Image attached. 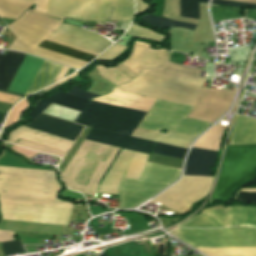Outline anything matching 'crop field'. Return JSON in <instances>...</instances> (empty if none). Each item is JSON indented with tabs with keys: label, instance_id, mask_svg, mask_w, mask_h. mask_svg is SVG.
<instances>
[{
	"label": "crop field",
	"instance_id": "8a807250",
	"mask_svg": "<svg viewBox=\"0 0 256 256\" xmlns=\"http://www.w3.org/2000/svg\"><path fill=\"white\" fill-rule=\"evenodd\" d=\"M162 68L196 77H199L200 71V69L177 65L170 61ZM162 68L143 70L142 73L134 80L127 84L116 87V89L192 106L204 82V79H207V77L200 79L201 77L196 78ZM207 89L208 88L202 86L193 106H195L198 98Z\"/></svg>",
	"mask_w": 256,
	"mask_h": 256
},
{
	"label": "crop field",
	"instance_id": "ac0d7876",
	"mask_svg": "<svg viewBox=\"0 0 256 256\" xmlns=\"http://www.w3.org/2000/svg\"><path fill=\"white\" fill-rule=\"evenodd\" d=\"M193 107L157 100L139 127L160 132L162 128L198 136L212 123L186 118ZM137 128L132 136L189 148L195 136L168 131L166 134Z\"/></svg>",
	"mask_w": 256,
	"mask_h": 256
},
{
	"label": "crop field",
	"instance_id": "34b2d1b8",
	"mask_svg": "<svg viewBox=\"0 0 256 256\" xmlns=\"http://www.w3.org/2000/svg\"><path fill=\"white\" fill-rule=\"evenodd\" d=\"M4 55L0 54V62ZM24 55L8 51L0 63V89L7 90L15 72L17 71ZM42 60L33 56L25 55L17 73L15 74L8 90L24 94L38 70ZM61 65L43 60L26 95L42 89L53 83Z\"/></svg>",
	"mask_w": 256,
	"mask_h": 256
},
{
	"label": "crop field",
	"instance_id": "412701ff",
	"mask_svg": "<svg viewBox=\"0 0 256 256\" xmlns=\"http://www.w3.org/2000/svg\"><path fill=\"white\" fill-rule=\"evenodd\" d=\"M112 5L111 20L131 22L133 0H49L46 12L80 21L103 22L107 20Z\"/></svg>",
	"mask_w": 256,
	"mask_h": 256
},
{
	"label": "crop field",
	"instance_id": "f4fd0767",
	"mask_svg": "<svg viewBox=\"0 0 256 256\" xmlns=\"http://www.w3.org/2000/svg\"><path fill=\"white\" fill-rule=\"evenodd\" d=\"M255 171L256 145L229 146L212 199L229 202L235 189L253 181Z\"/></svg>",
	"mask_w": 256,
	"mask_h": 256
},
{
	"label": "crop field",
	"instance_id": "dd49c442",
	"mask_svg": "<svg viewBox=\"0 0 256 256\" xmlns=\"http://www.w3.org/2000/svg\"><path fill=\"white\" fill-rule=\"evenodd\" d=\"M181 170L147 163L141 181L123 179L119 208H133L178 179Z\"/></svg>",
	"mask_w": 256,
	"mask_h": 256
},
{
	"label": "crop field",
	"instance_id": "e52e79f7",
	"mask_svg": "<svg viewBox=\"0 0 256 256\" xmlns=\"http://www.w3.org/2000/svg\"><path fill=\"white\" fill-rule=\"evenodd\" d=\"M145 115V112L89 101L75 122L131 136Z\"/></svg>",
	"mask_w": 256,
	"mask_h": 256
},
{
	"label": "crop field",
	"instance_id": "d8731c3e",
	"mask_svg": "<svg viewBox=\"0 0 256 256\" xmlns=\"http://www.w3.org/2000/svg\"><path fill=\"white\" fill-rule=\"evenodd\" d=\"M193 247H256V228L176 229Z\"/></svg>",
	"mask_w": 256,
	"mask_h": 256
},
{
	"label": "crop field",
	"instance_id": "5a996713",
	"mask_svg": "<svg viewBox=\"0 0 256 256\" xmlns=\"http://www.w3.org/2000/svg\"><path fill=\"white\" fill-rule=\"evenodd\" d=\"M1 203L3 219L68 225L73 204L57 200L56 207L41 206L23 203Z\"/></svg>",
	"mask_w": 256,
	"mask_h": 256
},
{
	"label": "crop field",
	"instance_id": "3316defc",
	"mask_svg": "<svg viewBox=\"0 0 256 256\" xmlns=\"http://www.w3.org/2000/svg\"><path fill=\"white\" fill-rule=\"evenodd\" d=\"M20 139L27 140L40 145H44L47 147H51L57 150H61L63 151V153L55 150H51L33 143H29ZM8 142H11V143L16 142L14 144L31 148L39 152H45L52 155L60 156V157H63L66 154L67 150L70 148V146L73 144V141H69L63 138H59L53 135H49V134L39 132L33 129L25 128V127H20L15 131L11 132Z\"/></svg>",
	"mask_w": 256,
	"mask_h": 256
},
{
	"label": "crop field",
	"instance_id": "28ad6ade",
	"mask_svg": "<svg viewBox=\"0 0 256 256\" xmlns=\"http://www.w3.org/2000/svg\"><path fill=\"white\" fill-rule=\"evenodd\" d=\"M235 92L236 91H226L220 89L208 90L201 97L195 110L189 117L208 122H215L229 110Z\"/></svg>",
	"mask_w": 256,
	"mask_h": 256
},
{
	"label": "crop field",
	"instance_id": "d1516ede",
	"mask_svg": "<svg viewBox=\"0 0 256 256\" xmlns=\"http://www.w3.org/2000/svg\"><path fill=\"white\" fill-rule=\"evenodd\" d=\"M49 38L70 45H74L98 54H100L107 46L112 44L107 39L95 33L65 24H62L59 28H57L49 36Z\"/></svg>",
	"mask_w": 256,
	"mask_h": 256
},
{
	"label": "crop field",
	"instance_id": "22f410ed",
	"mask_svg": "<svg viewBox=\"0 0 256 256\" xmlns=\"http://www.w3.org/2000/svg\"><path fill=\"white\" fill-rule=\"evenodd\" d=\"M149 46L136 41L132 55L122 64L137 75L144 68H157L165 64L168 59L166 49L155 51Z\"/></svg>",
	"mask_w": 256,
	"mask_h": 256
},
{
	"label": "crop field",
	"instance_id": "cbeb9de0",
	"mask_svg": "<svg viewBox=\"0 0 256 256\" xmlns=\"http://www.w3.org/2000/svg\"><path fill=\"white\" fill-rule=\"evenodd\" d=\"M87 140L129 149L133 151L143 152L149 154L154 142L142 140L138 138L128 137L120 134H115L111 132H106L98 129H93L90 131Z\"/></svg>",
	"mask_w": 256,
	"mask_h": 256
},
{
	"label": "crop field",
	"instance_id": "5142ce71",
	"mask_svg": "<svg viewBox=\"0 0 256 256\" xmlns=\"http://www.w3.org/2000/svg\"><path fill=\"white\" fill-rule=\"evenodd\" d=\"M39 116V115H38ZM34 120V119H33ZM28 127L75 141L83 126L41 114Z\"/></svg>",
	"mask_w": 256,
	"mask_h": 256
},
{
	"label": "crop field",
	"instance_id": "d9b57169",
	"mask_svg": "<svg viewBox=\"0 0 256 256\" xmlns=\"http://www.w3.org/2000/svg\"><path fill=\"white\" fill-rule=\"evenodd\" d=\"M92 100L125 106L145 112H148L156 101L155 99L135 95L128 92H122L115 89L105 96L94 98Z\"/></svg>",
	"mask_w": 256,
	"mask_h": 256
},
{
	"label": "crop field",
	"instance_id": "733c2abd",
	"mask_svg": "<svg viewBox=\"0 0 256 256\" xmlns=\"http://www.w3.org/2000/svg\"><path fill=\"white\" fill-rule=\"evenodd\" d=\"M218 152L192 148L186 163L184 175L210 176Z\"/></svg>",
	"mask_w": 256,
	"mask_h": 256
},
{
	"label": "crop field",
	"instance_id": "4a817a6b",
	"mask_svg": "<svg viewBox=\"0 0 256 256\" xmlns=\"http://www.w3.org/2000/svg\"><path fill=\"white\" fill-rule=\"evenodd\" d=\"M256 144V119L236 115L229 145Z\"/></svg>",
	"mask_w": 256,
	"mask_h": 256
},
{
	"label": "crop field",
	"instance_id": "bc2a9ffb",
	"mask_svg": "<svg viewBox=\"0 0 256 256\" xmlns=\"http://www.w3.org/2000/svg\"><path fill=\"white\" fill-rule=\"evenodd\" d=\"M35 102L36 106L34 110L29 113L31 119L40 114L51 102L82 111V109L88 103V100L62 92H56L47 99L35 100Z\"/></svg>",
	"mask_w": 256,
	"mask_h": 256
},
{
	"label": "crop field",
	"instance_id": "214f88e0",
	"mask_svg": "<svg viewBox=\"0 0 256 256\" xmlns=\"http://www.w3.org/2000/svg\"><path fill=\"white\" fill-rule=\"evenodd\" d=\"M226 216L227 209L205 210L201 215L178 227H226Z\"/></svg>",
	"mask_w": 256,
	"mask_h": 256
},
{
	"label": "crop field",
	"instance_id": "92a150f3",
	"mask_svg": "<svg viewBox=\"0 0 256 256\" xmlns=\"http://www.w3.org/2000/svg\"><path fill=\"white\" fill-rule=\"evenodd\" d=\"M64 19L37 10L26 11L20 18V20L36 24L51 31H54Z\"/></svg>",
	"mask_w": 256,
	"mask_h": 256
},
{
	"label": "crop field",
	"instance_id": "dafd665d",
	"mask_svg": "<svg viewBox=\"0 0 256 256\" xmlns=\"http://www.w3.org/2000/svg\"><path fill=\"white\" fill-rule=\"evenodd\" d=\"M213 21L240 18V10L211 5ZM246 18L256 20V11L247 10Z\"/></svg>",
	"mask_w": 256,
	"mask_h": 256
},
{
	"label": "crop field",
	"instance_id": "00972430",
	"mask_svg": "<svg viewBox=\"0 0 256 256\" xmlns=\"http://www.w3.org/2000/svg\"><path fill=\"white\" fill-rule=\"evenodd\" d=\"M39 47L46 48V49H49V50H52L55 52H59V53H62V54H65V55H68V56H71L74 58H78V59H81V60H84L87 62H89L93 58H95V56H92L90 54L83 53V52H80V51L59 45V44L47 42L45 40L41 44H39Z\"/></svg>",
	"mask_w": 256,
	"mask_h": 256
},
{
	"label": "crop field",
	"instance_id": "a9b5d70f",
	"mask_svg": "<svg viewBox=\"0 0 256 256\" xmlns=\"http://www.w3.org/2000/svg\"><path fill=\"white\" fill-rule=\"evenodd\" d=\"M13 233L14 232L0 231V242L14 240ZM2 249L5 256L25 251L21 241L2 243Z\"/></svg>",
	"mask_w": 256,
	"mask_h": 256
},
{
	"label": "crop field",
	"instance_id": "4177f3b9",
	"mask_svg": "<svg viewBox=\"0 0 256 256\" xmlns=\"http://www.w3.org/2000/svg\"><path fill=\"white\" fill-rule=\"evenodd\" d=\"M143 19L145 22L154 25L158 29L168 28L172 26L185 27V28H190L192 30L196 28V25H193V24L175 22V21L155 17L149 14L143 16Z\"/></svg>",
	"mask_w": 256,
	"mask_h": 256
},
{
	"label": "crop field",
	"instance_id": "730fd06b",
	"mask_svg": "<svg viewBox=\"0 0 256 256\" xmlns=\"http://www.w3.org/2000/svg\"><path fill=\"white\" fill-rule=\"evenodd\" d=\"M0 173L56 179L54 172L0 167Z\"/></svg>",
	"mask_w": 256,
	"mask_h": 256
},
{
	"label": "crop field",
	"instance_id": "eef30255",
	"mask_svg": "<svg viewBox=\"0 0 256 256\" xmlns=\"http://www.w3.org/2000/svg\"><path fill=\"white\" fill-rule=\"evenodd\" d=\"M97 69L102 77H104L106 80H108L115 86L129 82L130 80L112 67H104L102 65H99L97 66Z\"/></svg>",
	"mask_w": 256,
	"mask_h": 256
},
{
	"label": "crop field",
	"instance_id": "ae1a2a85",
	"mask_svg": "<svg viewBox=\"0 0 256 256\" xmlns=\"http://www.w3.org/2000/svg\"><path fill=\"white\" fill-rule=\"evenodd\" d=\"M248 207L228 208L227 227L244 226Z\"/></svg>",
	"mask_w": 256,
	"mask_h": 256
},
{
	"label": "crop field",
	"instance_id": "d3111659",
	"mask_svg": "<svg viewBox=\"0 0 256 256\" xmlns=\"http://www.w3.org/2000/svg\"><path fill=\"white\" fill-rule=\"evenodd\" d=\"M163 15L175 20L185 21L194 24L197 23V20L195 19L180 17L179 0H165V9Z\"/></svg>",
	"mask_w": 256,
	"mask_h": 256
},
{
	"label": "crop field",
	"instance_id": "750c4746",
	"mask_svg": "<svg viewBox=\"0 0 256 256\" xmlns=\"http://www.w3.org/2000/svg\"><path fill=\"white\" fill-rule=\"evenodd\" d=\"M198 2L208 3V0H180L181 16L199 19Z\"/></svg>",
	"mask_w": 256,
	"mask_h": 256
},
{
	"label": "crop field",
	"instance_id": "bd1437ed",
	"mask_svg": "<svg viewBox=\"0 0 256 256\" xmlns=\"http://www.w3.org/2000/svg\"><path fill=\"white\" fill-rule=\"evenodd\" d=\"M186 151H187L186 149L177 148V147L164 145V144H160V143L157 144V146L154 150L155 153L164 154V155L177 157V158H181V159L184 158Z\"/></svg>",
	"mask_w": 256,
	"mask_h": 256
},
{
	"label": "crop field",
	"instance_id": "1d83c4d3",
	"mask_svg": "<svg viewBox=\"0 0 256 256\" xmlns=\"http://www.w3.org/2000/svg\"><path fill=\"white\" fill-rule=\"evenodd\" d=\"M149 161L181 169L183 160L152 153Z\"/></svg>",
	"mask_w": 256,
	"mask_h": 256
},
{
	"label": "crop field",
	"instance_id": "120bbe31",
	"mask_svg": "<svg viewBox=\"0 0 256 256\" xmlns=\"http://www.w3.org/2000/svg\"><path fill=\"white\" fill-rule=\"evenodd\" d=\"M126 34L133 35V36H139V37H145V38L159 40V41H161L163 38L162 35H158V34L153 33L145 28H142L140 26L133 25V24Z\"/></svg>",
	"mask_w": 256,
	"mask_h": 256
},
{
	"label": "crop field",
	"instance_id": "d32e631a",
	"mask_svg": "<svg viewBox=\"0 0 256 256\" xmlns=\"http://www.w3.org/2000/svg\"><path fill=\"white\" fill-rule=\"evenodd\" d=\"M126 47L115 44L110 49H108L106 52H104L102 55H100L96 59L100 60H112L116 56H118L121 52L125 50Z\"/></svg>",
	"mask_w": 256,
	"mask_h": 256
},
{
	"label": "crop field",
	"instance_id": "5866460e",
	"mask_svg": "<svg viewBox=\"0 0 256 256\" xmlns=\"http://www.w3.org/2000/svg\"><path fill=\"white\" fill-rule=\"evenodd\" d=\"M0 92L11 94V95L20 96V97H23V98L25 97L23 95H19V94H15V93H10V92H6V91H2V90H0ZM2 93H0V101L1 102H6V103L14 104L16 101H18L20 99L19 97H15V96H11V95H6V94H2ZM4 117H5L4 114H0V122L3 121Z\"/></svg>",
	"mask_w": 256,
	"mask_h": 256
},
{
	"label": "crop field",
	"instance_id": "028f5c9d",
	"mask_svg": "<svg viewBox=\"0 0 256 256\" xmlns=\"http://www.w3.org/2000/svg\"><path fill=\"white\" fill-rule=\"evenodd\" d=\"M25 105H27V102H26L25 99H23L19 104H17V105L14 107V109H13V110L9 113V115H8V118H7V120H6L5 126L10 125V124H12L13 122H15V120H16L18 114L20 113L21 109H22Z\"/></svg>",
	"mask_w": 256,
	"mask_h": 256
},
{
	"label": "crop field",
	"instance_id": "e1f06a70",
	"mask_svg": "<svg viewBox=\"0 0 256 256\" xmlns=\"http://www.w3.org/2000/svg\"><path fill=\"white\" fill-rule=\"evenodd\" d=\"M237 200L247 201V202H256V191L255 192H238L236 198Z\"/></svg>",
	"mask_w": 256,
	"mask_h": 256
},
{
	"label": "crop field",
	"instance_id": "0bd39190",
	"mask_svg": "<svg viewBox=\"0 0 256 256\" xmlns=\"http://www.w3.org/2000/svg\"><path fill=\"white\" fill-rule=\"evenodd\" d=\"M67 93H70V94L75 95V96L87 98V99L100 96V95H95V94H91V93L85 92V91L80 90V89H78V88H76V87H74V86H73V88H72L70 91H68Z\"/></svg>",
	"mask_w": 256,
	"mask_h": 256
},
{
	"label": "crop field",
	"instance_id": "b80d0937",
	"mask_svg": "<svg viewBox=\"0 0 256 256\" xmlns=\"http://www.w3.org/2000/svg\"><path fill=\"white\" fill-rule=\"evenodd\" d=\"M245 226H256V208L249 207Z\"/></svg>",
	"mask_w": 256,
	"mask_h": 256
},
{
	"label": "crop field",
	"instance_id": "c035e120",
	"mask_svg": "<svg viewBox=\"0 0 256 256\" xmlns=\"http://www.w3.org/2000/svg\"><path fill=\"white\" fill-rule=\"evenodd\" d=\"M212 3L215 4H226V5H233V6H255L256 4H248V3H238V2H230V1H223V0H213Z\"/></svg>",
	"mask_w": 256,
	"mask_h": 256
},
{
	"label": "crop field",
	"instance_id": "c21b1889",
	"mask_svg": "<svg viewBox=\"0 0 256 256\" xmlns=\"http://www.w3.org/2000/svg\"><path fill=\"white\" fill-rule=\"evenodd\" d=\"M117 70H119L120 72H122L123 74H125L127 77H129L130 79L137 76L135 75L133 72H131L129 69H127L126 67H124L123 65H121L120 63L114 67Z\"/></svg>",
	"mask_w": 256,
	"mask_h": 256
},
{
	"label": "crop field",
	"instance_id": "03da06ac",
	"mask_svg": "<svg viewBox=\"0 0 256 256\" xmlns=\"http://www.w3.org/2000/svg\"><path fill=\"white\" fill-rule=\"evenodd\" d=\"M13 149H15L16 152L21 153V154L25 155L28 158H31L33 155L38 154L37 152H33V151H30V150H27V149H23V148H20V147H17V146H13Z\"/></svg>",
	"mask_w": 256,
	"mask_h": 256
},
{
	"label": "crop field",
	"instance_id": "b54c1fbb",
	"mask_svg": "<svg viewBox=\"0 0 256 256\" xmlns=\"http://www.w3.org/2000/svg\"><path fill=\"white\" fill-rule=\"evenodd\" d=\"M146 10H148V5L142 0H136V15Z\"/></svg>",
	"mask_w": 256,
	"mask_h": 256
},
{
	"label": "crop field",
	"instance_id": "5d738f31",
	"mask_svg": "<svg viewBox=\"0 0 256 256\" xmlns=\"http://www.w3.org/2000/svg\"><path fill=\"white\" fill-rule=\"evenodd\" d=\"M12 1H19V2H26V3L36 4V0H12Z\"/></svg>",
	"mask_w": 256,
	"mask_h": 256
},
{
	"label": "crop field",
	"instance_id": "d23c7cc5",
	"mask_svg": "<svg viewBox=\"0 0 256 256\" xmlns=\"http://www.w3.org/2000/svg\"><path fill=\"white\" fill-rule=\"evenodd\" d=\"M230 1L256 3V0H230Z\"/></svg>",
	"mask_w": 256,
	"mask_h": 256
},
{
	"label": "crop field",
	"instance_id": "425ffa30",
	"mask_svg": "<svg viewBox=\"0 0 256 256\" xmlns=\"http://www.w3.org/2000/svg\"><path fill=\"white\" fill-rule=\"evenodd\" d=\"M100 256H105V253L101 254Z\"/></svg>",
	"mask_w": 256,
	"mask_h": 256
}]
</instances>
